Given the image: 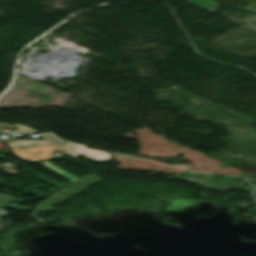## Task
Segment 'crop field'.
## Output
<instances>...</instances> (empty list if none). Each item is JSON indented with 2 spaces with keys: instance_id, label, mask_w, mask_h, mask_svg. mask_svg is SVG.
<instances>
[{
  "instance_id": "crop-field-3",
  "label": "crop field",
  "mask_w": 256,
  "mask_h": 256,
  "mask_svg": "<svg viewBox=\"0 0 256 256\" xmlns=\"http://www.w3.org/2000/svg\"><path fill=\"white\" fill-rule=\"evenodd\" d=\"M10 209H14V210H24V211H30V210H31V208L19 207V206H11Z\"/></svg>"
},
{
  "instance_id": "crop-field-2",
  "label": "crop field",
  "mask_w": 256,
  "mask_h": 256,
  "mask_svg": "<svg viewBox=\"0 0 256 256\" xmlns=\"http://www.w3.org/2000/svg\"><path fill=\"white\" fill-rule=\"evenodd\" d=\"M10 201L21 203L24 200L23 199H17L14 196H7V195H0V207L8 208L7 203Z\"/></svg>"
},
{
  "instance_id": "crop-field-1",
  "label": "crop field",
  "mask_w": 256,
  "mask_h": 256,
  "mask_svg": "<svg viewBox=\"0 0 256 256\" xmlns=\"http://www.w3.org/2000/svg\"><path fill=\"white\" fill-rule=\"evenodd\" d=\"M41 136L45 138L42 141L16 140L6 144L15 157L20 158L24 162L33 160L70 182L78 179L54 165H49L50 162L44 158L54 157L53 152L60 150H63L74 159H76L78 155L86 156V158L90 157L93 161H105L110 157L108 153L88 150L84 145L68 142H65L64 144L51 134H41ZM38 151L40 152L39 154H37ZM42 159L45 160V163L41 162Z\"/></svg>"
}]
</instances>
